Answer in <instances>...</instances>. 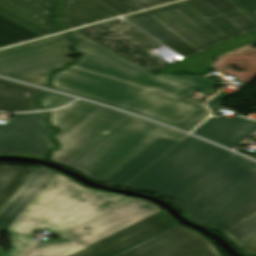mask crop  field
Listing matches in <instances>:
<instances>
[{"label": "crop field", "mask_w": 256, "mask_h": 256, "mask_svg": "<svg viewBox=\"0 0 256 256\" xmlns=\"http://www.w3.org/2000/svg\"><path fill=\"white\" fill-rule=\"evenodd\" d=\"M83 56L52 78L56 90L94 99L191 131L210 115L179 102L199 90L210 92L207 77L154 76L100 45L72 32ZM150 97H147V96Z\"/></svg>", "instance_id": "8a807250"}, {"label": "crop field", "mask_w": 256, "mask_h": 256, "mask_svg": "<svg viewBox=\"0 0 256 256\" xmlns=\"http://www.w3.org/2000/svg\"><path fill=\"white\" fill-rule=\"evenodd\" d=\"M231 154L187 137L124 188L171 197L211 227L256 191V164Z\"/></svg>", "instance_id": "ac0d7876"}, {"label": "crop field", "mask_w": 256, "mask_h": 256, "mask_svg": "<svg viewBox=\"0 0 256 256\" xmlns=\"http://www.w3.org/2000/svg\"><path fill=\"white\" fill-rule=\"evenodd\" d=\"M61 131L54 135L61 148L50 160L72 167L103 183L158 138L179 141L184 134L145 120L77 101L49 112Z\"/></svg>", "instance_id": "34b2d1b8"}, {"label": "crop field", "mask_w": 256, "mask_h": 256, "mask_svg": "<svg viewBox=\"0 0 256 256\" xmlns=\"http://www.w3.org/2000/svg\"><path fill=\"white\" fill-rule=\"evenodd\" d=\"M131 199L89 189L57 172L8 228L13 248L9 253L0 248V256H21L36 243L35 230L69 231Z\"/></svg>", "instance_id": "412701ff"}, {"label": "crop field", "mask_w": 256, "mask_h": 256, "mask_svg": "<svg viewBox=\"0 0 256 256\" xmlns=\"http://www.w3.org/2000/svg\"><path fill=\"white\" fill-rule=\"evenodd\" d=\"M126 19L185 58L256 28L242 11L205 21L182 2Z\"/></svg>", "instance_id": "f4fd0767"}, {"label": "crop field", "mask_w": 256, "mask_h": 256, "mask_svg": "<svg viewBox=\"0 0 256 256\" xmlns=\"http://www.w3.org/2000/svg\"><path fill=\"white\" fill-rule=\"evenodd\" d=\"M161 211H163L161 208L135 198L71 229L70 232L52 233L60 237V240L38 244L24 256H72L85 250L91 244ZM86 227L89 230H85Z\"/></svg>", "instance_id": "dd49c442"}, {"label": "crop field", "mask_w": 256, "mask_h": 256, "mask_svg": "<svg viewBox=\"0 0 256 256\" xmlns=\"http://www.w3.org/2000/svg\"><path fill=\"white\" fill-rule=\"evenodd\" d=\"M67 33L0 51V75L48 86L53 71L74 61Z\"/></svg>", "instance_id": "e52e79f7"}, {"label": "crop field", "mask_w": 256, "mask_h": 256, "mask_svg": "<svg viewBox=\"0 0 256 256\" xmlns=\"http://www.w3.org/2000/svg\"><path fill=\"white\" fill-rule=\"evenodd\" d=\"M75 31L151 73L171 65L147 51L162 45L123 20Z\"/></svg>", "instance_id": "d8731c3e"}, {"label": "crop field", "mask_w": 256, "mask_h": 256, "mask_svg": "<svg viewBox=\"0 0 256 256\" xmlns=\"http://www.w3.org/2000/svg\"><path fill=\"white\" fill-rule=\"evenodd\" d=\"M47 115L15 114L12 124L0 125V153L45 157L48 149L54 148L44 119Z\"/></svg>", "instance_id": "5a996713"}, {"label": "crop field", "mask_w": 256, "mask_h": 256, "mask_svg": "<svg viewBox=\"0 0 256 256\" xmlns=\"http://www.w3.org/2000/svg\"><path fill=\"white\" fill-rule=\"evenodd\" d=\"M117 256H221L203 235L179 225Z\"/></svg>", "instance_id": "3316defc"}, {"label": "crop field", "mask_w": 256, "mask_h": 256, "mask_svg": "<svg viewBox=\"0 0 256 256\" xmlns=\"http://www.w3.org/2000/svg\"><path fill=\"white\" fill-rule=\"evenodd\" d=\"M179 225L165 211L120 231L74 256H115Z\"/></svg>", "instance_id": "28ad6ade"}, {"label": "crop field", "mask_w": 256, "mask_h": 256, "mask_svg": "<svg viewBox=\"0 0 256 256\" xmlns=\"http://www.w3.org/2000/svg\"><path fill=\"white\" fill-rule=\"evenodd\" d=\"M61 0H0V13L46 36L64 28L55 22Z\"/></svg>", "instance_id": "d1516ede"}, {"label": "crop field", "mask_w": 256, "mask_h": 256, "mask_svg": "<svg viewBox=\"0 0 256 256\" xmlns=\"http://www.w3.org/2000/svg\"><path fill=\"white\" fill-rule=\"evenodd\" d=\"M137 11L129 0H65L58 21L69 30Z\"/></svg>", "instance_id": "22f410ed"}, {"label": "crop field", "mask_w": 256, "mask_h": 256, "mask_svg": "<svg viewBox=\"0 0 256 256\" xmlns=\"http://www.w3.org/2000/svg\"><path fill=\"white\" fill-rule=\"evenodd\" d=\"M224 232L246 254H256V192L213 226Z\"/></svg>", "instance_id": "cbeb9de0"}, {"label": "crop field", "mask_w": 256, "mask_h": 256, "mask_svg": "<svg viewBox=\"0 0 256 256\" xmlns=\"http://www.w3.org/2000/svg\"><path fill=\"white\" fill-rule=\"evenodd\" d=\"M194 133L235 148L256 133V121L241 116L234 122L222 118H210Z\"/></svg>", "instance_id": "5142ce71"}, {"label": "crop field", "mask_w": 256, "mask_h": 256, "mask_svg": "<svg viewBox=\"0 0 256 256\" xmlns=\"http://www.w3.org/2000/svg\"><path fill=\"white\" fill-rule=\"evenodd\" d=\"M55 173L56 171L39 166L0 212L1 232L7 230Z\"/></svg>", "instance_id": "d9b57169"}, {"label": "crop field", "mask_w": 256, "mask_h": 256, "mask_svg": "<svg viewBox=\"0 0 256 256\" xmlns=\"http://www.w3.org/2000/svg\"><path fill=\"white\" fill-rule=\"evenodd\" d=\"M44 91L0 79V110L9 112L38 111L36 99Z\"/></svg>", "instance_id": "733c2abd"}, {"label": "crop field", "mask_w": 256, "mask_h": 256, "mask_svg": "<svg viewBox=\"0 0 256 256\" xmlns=\"http://www.w3.org/2000/svg\"><path fill=\"white\" fill-rule=\"evenodd\" d=\"M159 139V138H158ZM157 139V140H158ZM176 143L175 141L159 139L153 145H151L147 150L135 158L131 163L119 171L115 176H113L108 182L114 183L115 186L123 187L138 174L144 171L148 166H150L154 161H156L160 156L167 152Z\"/></svg>", "instance_id": "4a817a6b"}, {"label": "crop field", "mask_w": 256, "mask_h": 256, "mask_svg": "<svg viewBox=\"0 0 256 256\" xmlns=\"http://www.w3.org/2000/svg\"><path fill=\"white\" fill-rule=\"evenodd\" d=\"M35 170L28 167L0 166V211Z\"/></svg>", "instance_id": "bc2a9ffb"}, {"label": "crop field", "mask_w": 256, "mask_h": 256, "mask_svg": "<svg viewBox=\"0 0 256 256\" xmlns=\"http://www.w3.org/2000/svg\"><path fill=\"white\" fill-rule=\"evenodd\" d=\"M41 37L0 15V47Z\"/></svg>", "instance_id": "214f88e0"}, {"label": "crop field", "mask_w": 256, "mask_h": 256, "mask_svg": "<svg viewBox=\"0 0 256 256\" xmlns=\"http://www.w3.org/2000/svg\"><path fill=\"white\" fill-rule=\"evenodd\" d=\"M184 3L205 19L240 10L229 0H187Z\"/></svg>", "instance_id": "92a150f3"}, {"label": "crop field", "mask_w": 256, "mask_h": 256, "mask_svg": "<svg viewBox=\"0 0 256 256\" xmlns=\"http://www.w3.org/2000/svg\"><path fill=\"white\" fill-rule=\"evenodd\" d=\"M73 100L74 98L48 92L40 99V103L44 109H54L62 107Z\"/></svg>", "instance_id": "dafd665d"}, {"label": "crop field", "mask_w": 256, "mask_h": 256, "mask_svg": "<svg viewBox=\"0 0 256 256\" xmlns=\"http://www.w3.org/2000/svg\"><path fill=\"white\" fill-rule=\"evenodd\" d=\"M130 1H132L135 5H137L142 10H144L147 8H151V7L172 2L175 0H130Z\"/></svg>", "instance_id": "00972430"}, {"label": "crop field", "mask_w": 256, "mask_h": 256, "mask_svg": "<svg viewBox=\"0 0 256 256\" xmlns=\"http://www.w3.org/2000/svg\"><path fill=\"white\" fill-rule=\"evenodd\" d=\"M227 98V96L221 95L219 94L218 96H216L214 99H212L210 102L207 103V105L209 106V108L215 112L222 104H223V100Z\"/></svg>", "instance_id": "a9b5d70f"}, {"label": "crop field", "mask_w": 256, "mask_h": 256, "mask_svg": "<svg viewBox=\"0 0 256 256\" xmlns=\"http://www.w3.org/2000/svg\"><path fill=\"white\" fill-rule=\"evenodd\" d=\"M230 1H232L241 9L256 5V0H230Z\"/></svg>", "instance_id": "4177f3b9"}, {"label": "crop field", "mask_w": 256, "mask_h": 256, "mask_svg": "<svg viewBox=\"0 0 256 256\" xmlns=\"http://www.w3.org/2000/svg\"><path fill=\"white\" fill-rule=\"evenodd\" d=\"M246 14H248L250 17H252L254 20H256V7L249 8L246 10H243Z\"/></svg>", "instance_id": "730fd06b"}, {"label": "crop field", "mask_w": 256, "mask_h": 256, "mask_svg": "<svg viewBox=\"0 0 256 256\" xmlns=\"http://www.w3.org/2000/svg\"><path fill=\"white\" fill-rule=\"evenodd\" d=\"M181 102L190 104V105L195 106V107H198V108H200L201 106H203V104H200V103H198V102L192 101V100L187 99V98L183 99Z\"/></svg>", "instance_id": "eef30255"}, {"label": "crop field", "mask_w": 256, "mask_h": 256, "mask_svg": "<svg viewBox=\"0 0 256 256\" xmlns=\"http://www.w3.org/2000/svg\"><path fill=\"white\" fill-rule=\"evenodd\" d=\"M251 32H252V33H254V34L256 35V29H255V30H252Z\"/></svg>", "instance_id": "ae1a2a85"}, {"label": "crop field", "mask_w": 256, "mask_h": 256, "mask_svg": "<svg viewBox=\"0 0 256 256\" xmlns=\"http://www.w3.org/2000/svg\"><path fill=\"white\" fill-rule=\"evenodd\" d=\"M256 140V139H255ZM255 159H256V157H255Z\"/></svg>", "instance_id": "d3111659"}]
</instances>
